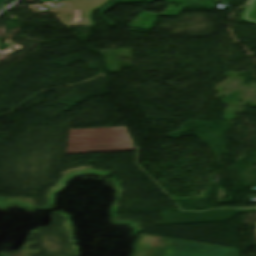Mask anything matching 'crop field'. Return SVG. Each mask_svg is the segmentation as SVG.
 Segmentation results:
<instances>
[{"instance_id":"crop-field-4","label":"crop field","mask_w":256,"mask_h":256,"mask_svg":"<svg viewBox=\"0 0 256 256\" xmlns=\"http://www.w3.org/2000/svg\"><path fill=\"white\" fill-rule=\"evenodd\" d=\"M243 18L247 21L256 23V0H250L243 13Z\"/></svg>"},{"instance_id":"crop-field-1","label":"crop field","mask_w":256,"mask_h":256,"mask_svg":"<svg viewBox=\"0 0 256 256\" xmlns=\"http://www.w3.org/2000/svg\"><path fill=\"white\" fill-rule=\"evenodd\" d=\"M133 256H239V250L139 233Z\"/></svg>"},{"instance_id":"crop-field-2","label":"crop field","mask_w":256,"mask_h":256,"mask_svg":"<svg viewBox=\"0 0 256 256\" xmlns=\"http://www.w3.org/2000/svg\"><path fill=\"white\" fill-rule=\"evenodd\" d=\"M133 150L125 127L70 130L67 153Z\"/></svg>"},{"instance_id":"crop-field-3","label":"crop field","mask_w":256,"mask_h":256,"mask_svg":"<svg viewBox=\"0 0 256 256\" xmlns=\"http://www.w3.org/2000/svg\"><path fill=\"white\" fill-rule=\"evenodd\" d=\"M106 0L63 1L68 8L49 9L64 25L93 26L90 13Z\"/></svg>"},{"instance_id":"crop-field-5","label":"crop field","mask_w":256,"mask_h":256,"mask_svg":"<svg viewBox=\"0 0 256 256\" xmlns=\"http://www.w3.org/2000/svg\"><path fill=\"white\" fill-rule=\"evenodd\" d=\"M8 0H0V10L5 6Z\"/></svg>"}]
</instances>
